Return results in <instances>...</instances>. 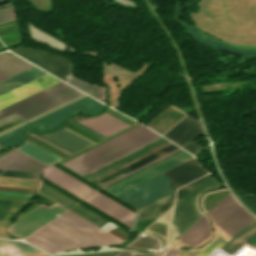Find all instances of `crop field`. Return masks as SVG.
I'll return each instance as SVG.
<instances>
[{"instance_id":"crop-field-1","label":"crop field","mask_w":256,"mask_h":256,"mask_svg":"<svg viewBox=\"0 0 256 256\" xmlns=\"http://www.w3.org/2000/svg\"><path fill=\"white\" fill-rule=\"evenodd\" d=\"M25 240L50 254L122 241L70 210Z\"/></svg>"},{"instance_id":"crop-field-2","label":"crop field","mask_w":256,"mask_h":256,"mask_svg":"<svg viewBox=\"0 0 256 256\" xmlns=\"http://www.w3.org/2000/svg\"><path fill=\"white\" fill-rule=\"evenodd\" d=\"M158 136L160 135L140 125L63 164L82 175Z\"/></svg>"},{"instance_id":"crop-field-3","label":"crop field","mask_w":256,"mask_h":256,"mask_svg":"<svg viewBox=\"0 0 256 256\" xmlns=\"http://www.w3.org/2000/svg\"><path fill=\"white\" fill-rule=\"evenodd\" d=\"M106 105L98 102L97 100L87 96L77 102H74L62 109H59L49 115H46L36 121H33L23 127H20L8 134L0 137V147L6 148L21 144V134L29 127L44 132L56 128L59 123L68 115L73 113H84L88 115L101 112Z\"/></svg>"},{"instance_id":"crop-field-4","label":"crop field","mask_w":256,"mask_h":256,"mask_svg":"<svg viewBox=\"0 0 256 256\" xmlns=\"http://www.w3.org/2000/svg\"><path fill=\"white\" fill-rule=\"evenodd\" d=\"M51 87V86H50ZM83 94L61 82L0 111V119L17 111L26 119Z\"/></svg>"},{"instance_id":"crop-field-5","label":"crop field","mask_w":256,"mask_h":256,"mask_svg":"<svg viewBox=\"0 0 256 256\" xmlns=\"http://www.w3.org/2000/svg\"><path fill=\"white\" fill-rule=\"evenodd\" d=\"M222 184L216 182L210 175L205 178L199 185H197L192 191L184 196L180 201L176 203L175 212L172 223L178 228L179 233H183L191 225H193L201 215L195 204V200L203 191L221 186Z\"/></svg>"},{"instance_id":"crop-field-6","label":"crop field","mask_w":256,"mask_h":256,"mask_svg":"<svg viewBox=\"0 0 256 256\" xmlns=\"http://www.w3.org/2000/svg\"><path fill=\"white\" fill-rule=\"evenodd\" d=\"M10 51L62 79L71 72L72 64L68 60L50 54L47 51L24 47L13 48Z\"/></svg>"},{"instance_id":"crop-field-7","label":"crop field","mask_w":256,"mask_h":256,"mask_svg":"<svg viewBox=\"0 0 256 256\" xmlns=\"http://www.w3.org/2000/svg\"><path fill=\"white\" fill-rule=\"evenodd\" d=\"M66 210L59 204L53 208L40 206L10 226L9 231L24 239Z\"/></svg>"},{"instance_id":"crop-field-8","label":"crop field","mask_w":256,"mask_h":256,"mask_svg":"<svg viewBox=\"0 0 256 256\" xmlns=\"http://www.w3.org/2000/svg\"><path fill=\"white\" fill-rule=\"evenodd\" d=\"M168 192H170L168 180L158 175L118 196L140 207Z\"/></svg>"},{"instance_id":"crop-field-9","label":"crop field","mask_w":256,"mask_h":256,"mask_svg":"<svg viewBox=\"0 0 256 256\" xmlns=\"http://www.w3.org/2000/svg\"><path fill=\"white\" fill-rule=\"evenodd\" d=\"M202 133L203 131L199 121L187 115L163 136L197 156L204 148L192 141Z\"/></svg>"},{"instance_id":"crop-field-10","label":"crop field","mask_w":256,"mask_h":256,"mask_svg":"<svg viewBox=\"0 0 256 256\" xmlns=\"http://www.w3.org/2000/svg\"><path fill=\"white\" fill-rule=\"evenodd\" d=\"M192 158V155L188 154L187 152H182L148 170H146L145 172L109 189L108 191L118 195L188 159Z\"/></svg>"},{"instance_id":"crop-field-11","label":"crop field","mask_w":256,"mask_h":256,"mask_svg":"<svg viewBox=\"0 0 256 256\" xmlns=\"http://www.w3.org/2000/svg\"><path fill=\"white\" fill-rule=\"evenodd\" d=\"M59 82H61V80L47 74L11 92H8L0 96V110Z\"/></svg>"},{"instance_id":"crop-field-12","label":"crop field","mask_w":256,"mask_h":256,"mask_svg":"<svg viewBox=\"0 0 256 256\" xmlns=\"http://www.w3.org/2000/svg\"><path fill=\"white\" fill-rule=\"evenodd\" d=\"M206 173L207 171L192 158L162 174L170 179L172 190H174Z\"/></svg>"},{"instance_id":"crop-field-13","label":"crop field","mask_w":256,"mask_h":256,"mask_svg":"<svg viewBox=\"0 0 256 256\" xmlns=\"http://www.w3.org/2000/svg\"><path fill=\"white\" fill-rule=\"evenodd\" d=\"M43 177L82 199L95 191L52 166L44 169Z\"/></svg>"},{"instance_id":"crop-field-14","label":"crop field","mask_w":256,"mask_h":256,"mask_svg":"<svg viewBox=\"0 0 256 256\" xmlns=\"http://www.w3.org/2000/svg\"><path fill=\"white\" fill-rule=\"evenodd\" d=\"M84 200L88 201L89 203L93 204L104 212L110 214L111 216L115 217L126 225L131 226L135 214L124 209L123 207L102 196L101 194L96 192Z\"/></svg>"},{"instance_id":"crop-field-15","label":"crop field","mask_w":256,"mask_h":256,"mask_svg":"<svg viewBox=\"0 0 256 256\" xmlns=\"http://www.w3.org/2000/svg\"><path fill=\"white\" fill-rule=\"evenodd\" d=\"M80 123L108 136L127 126L128 124L104 113L100 116L79 121Z\"/></svg>"},{"instance_id":"crop-field-16","label":"crop field","mask_w":256,"mask_h":256,"mask_svg":"<svg viewBox=\"0 0 256 256\" xmlns=\"http://www.w3.org/2000/svg\"><path fill=\"white\" fill-rule=\"evenodd\" d=\"M174 195H175V192L139 209L136 213V216L134 218L133 225L130 231L134 230L137 222L140 221L141 219H146V218L157 219L159 216H161L165 211H167L173 205Z\"/></svg>"},{"instance_id":"crop-field-17","label":"crop field","mask_w":256,"mask_h":256,"mask_svg":"<svg viewBox=\"0 0 256 256\" xmlns=\"http://www.w3.org/2000/svg\"><path fill=\"white\" fill-rule=\"evenodd\" d=\"M27 203L24 201L0 199V238H17L8 232L7 226L15 214Z\"/></svg>"},{"instance_id":"crop-field-18","label":"crop field","mask_w":256,"mask_h":256,"mask_svg":"<svg viewBox=\"0 0 256 256\" xmlns=\"http://www.w3.org/2000/svg\"><path fill=\"white\" fill-rule=\"evenodd\" d=\"M42 137L74 153L92 144L64 129H61L52 134L42 135Z\"/></svg>"},{"instance_id":"crop-field-19","label":"crop field","mask_w":256,"mask_h":256,"mask_svg":"<svg viewBox=\"0 0 256 256\" xmlns=\"http://www.w3.org/2000/svg\"><path fill=\"white\" fill-rule=\"evenodd\" d=\"M211 235L206 217L199 219L193 226L180 235L181 242L186 245L196 246L201 244Z\"/></svg>"},{"instance_id":"crop-field-20","label":"crop field","mask_w":256,"mask_h":256,"mask_svg":"<svg viewBox=\"0 0 256 256\" xmlns=\"http://www.w3.org/2000/svg\"><path fill=\"white\" fill-rule=\"evenodd\" d=\"M126 247L138 249V250H144V251H156L155 253L151 254H133L128 253L123 250H121L118 254L115 256H155L157 255L161 250L164 248L160 246V240L149 235H143L140 234L137 238L133 239L130 243L126 245Z\"/></svg>"},{"instance_id":"crop-field-21","label":"crop field","mask_w":256,"mask_h":256,"mask_svg":"<svg viewBox=\"0 0 256 256\" xmlns=\"http://www.w3.org/2000/svg\"><path fill=\"white\" fill-rule=\"evenodd\" d=\"M253 218L240 206L218 226L229 237H233Z\"/></svg>"},{"instance_id":"crop-field-22","label":"crop field","mask_w":256,"mask_h":256,"mask_svg":"<svg viewBox=\"0 0 256 256\" xmlns=\"http://www.w3.org/2000/svg\"><path fill=\"white\" fill-rule=\"evenodd\" d=\"M176 148H178V147L171 144V145H169V146H167V147H165V148H163V149H161V150H159V151H157V152H155V153H153V154H151V155H149V156H147V157H145V158H143V159H141V160H139V161H137V162H135V163H133V164H131V165H129V166H127V167H125V168H123V169H121V170H119V171L101 179V180H99V181H97L96 183L99 184L100 186H102V185H104V184H106V183H108V182H110V181H112V180H114V179H116V178H118V177H120V176H122V175H124V174H126V173H128V172H130V171H132V170H134V169H136V168H138V167H140V166H142V165H144V164H146V163H148V162H150V161H152V160H154V159H156V158H158V157H160V156H162V155H164V154H166V153H168L172 150H174V149H176Z\"/></svg>"},{"instance_id":"crop-field-23","label":"crop field","mask_w":256,"mask_h":256,"mask_svg":"<svg viewBox=\"0 0 256 256\" xmlns=\"http://www.w3.org/2000/svg\"><path fill=\"white\" fill-rule=\"evenodd\" d=\"M31 66L33 65L10 52L0 53V70L9 77Z\"/></svg>"},{"instance_id":"crop-field-24","label":"crop field","mask_w":256,"mask_h":256,"mask_svg":"<svg viewBox=\"0 0 256 256\" xmlns=\"http://www.w3.org/2000/svg\"><path fill=\"white\" fill-rule=\"evenodd\" d=\"M45 74L47 73L39 70L37 67H34L24 73H21L11 79H8L0 83V95L8 91H11L21 85H24L34 79H37Z\"/></svg>"},{"instance_id":"crop-field-25","label":"crop field","mask_w":256,"mask_h":256,"mask_svg":"<svg viewBox=\"0 0 256 256\" xmlns=\"http://www.w3.org/2000/svg\"><path fill=\"white\" fill-rule=\"evenodd\" d=\"M240 205L235 198L229 193L218 204H216L207 213L212 217L216 226L230 215Z\"/></svg>"},{"instance_id":"crop-field-26","label":"crop field","mask_w":256,"mask_h":256,"mask_svg":"<svg viewBox=\"0 0 256 256\" xmlns=\"http://www.w3.org/2000/svg\"><path fill=\"white\" fill-rule=\"evenodd\" d=\"M40 251L26 243L0 240V256H25Z\"/></svg>"},{"instance_id":"crop-field-27","label":"crop field","mask_w":256,"mask_h":256,"mask_svg":"<svg viewBox=\"0 0 256 256\" xmlns=\"http://www.w3.org/2000/svg\"><path fill=\"white\" fill-rule=\"evenodd\" d=\"M255 233H256V220L253 219L230 241H228L224 246H222L221 249L232 254L241 245H243L248 239H250Z\"/></svg>"},{"instance_id":"crop-field-28","label":"crop field","mask_w":256,"mask_h":256,"mask_svg":"<svg viewBox=\"0 0 256 256\" xmlns=\"http://www.w3.org/2000/svg\"><path fill=\"white\" fill-rule=\"evenodd\" d=\"M17 148L48 165L62 159L27 140H25L23 145Z\"/></svg>"},{"instance_id":"crop-field-29","label":"crop field","mask_w":256,"mask_h":256,"mask_svg":"<svg viewBox=\"0 0 256 256\" xmlns=\"http://www.w3.org/2000/svg\"><path fill=\"white\" fill-rule=\"evenodd\" d=\"M71 85L85 91L86 93L94 96L95 98L104 101V95L106 88L99 85H94L82 80L77 79L76 77L71 78L69 81H67Z\"/></svg>"},{"instance_id":"crop-field-30","label":"crop field","mask_w":256,"mask_h":256,"mask_svg":"<svg viewBox=\"0 0 256 256\" xmlns=\"http://www.w3.org/2000/svg\"><path fill=\"white\" fill-rule=\"evenodd\" d=\"M167 142H169V141L163 139V140H161V141H159V142H157V143H155V144H153V145H151V146H149V147H147V148H145V149H143V150H141V151H139V152H137V153H135V154H133V155H131V156H129V157H127V158H125V159H123V160H121V161H119V162H117V163H115V164H113V165H111V166H109V167L91 175V176H89V177H87V178L93 180V179H95V178H97V177H99V176H101V175H103V174H105V173H107V172H109V171H111V170H113V169H115V168H117V167H119V166H121V165H123V164H125V163H127V162H129V161H131V160H133V159H135V158H137V157H139V156H141V155H143V154H145V153H147V152H149V151H151V150H153V149H155V148H157V147H159L163 144H165V143H167Z\"/></svg>"},{"instance_id":"crop-field-31","label":"crop field","mask_w":256,"mask_h":256,"mask_svg":"<svg viewBox=\"0 0 256 256\" xmlns=\"http://www.w3.org/2000/svg\"><path fill=\"white\" fill-rule=\"evenodd\" d=\"M45 167L47 166L26 155L7 169L42 173V168Z\"/></svg>"},{"instance_id":"crop-field-32","label":"crop field","mask_w":256,"mask_h":256,"mask_svg":"<svg viewBox=\"0 0 256 256\" xmlns=\"http://www.w3.org/2000/svg\"><path fill=\"white\" fill-rule=\"evenodd\" d=\"M39 192L43 193L44 195L48 196L49 198L53 199L68 209L77 204L46 185H43Z\"/></svg>"},{"instance_id":"crop-field-33","label":"crop field","mask_w":256,"mask_h":256,"mask_svg":"<svg viewBox=\"0 0 256 256\" xmlns=\"http://www.w3.org/2000/svg\"><path fill=\"white\" fill-rule=\"evenodd\" d=\"M226 242L222 238L221 235L213 241L211 244H209L207 247L204 248V250L200 251H181L179 256H207L213 249L220 248L222 245H224Z\"/></svg>"},{"instance_id":"crop-field-34","label":"crop field","mask_w":256,"mask_h":256,"mask_svg":"<svg viewBox=\"0 0 256 256\" xmlns=\"http://www.w3.org/2000/svg\"><path fill=\"white\" fill-rule=\"evenodd\" d=\"M70 210L74 211L75 213L79 214L80 216L84 217L85 219L89 220L90 222L94 223L99 227L107 222L78 204Z\"/></svg>"},{"instance_id":"crop-field-35","label":"crop field","mask_w":256,"mask_h":256,"mask_svg":"<svg viewBox=\"0 0 256 256\" xmlns=\"http://www.w3.org/2000/svg\"><path fill=\"white\" fill-rule=\"evenodd\" d=\"M23 155H25V154L14 149V150L8 152L7 154L1 156L0 157V169L6 168L7 166H9L13 162H15L17 159L22 157Z\"/></svg>"},{"instance_id":"crop-field-36","label":"crop field","mask_w":256,"mask_h":256,"mask_svg":"<svg viewBox=\"0 0 256 256\" xmlns=\"http://www.w3.org/2000/svg\"><path fill=\"white\" fill-rule=\"evenodd\" d=\"M1 176L42 180V174L5 170Z\"/></svg>"},{"instance_id":"crop-field-37","label":"crop field","mask_w":256,"mask_h":256,"mask_svg":"<svg viewBox=\"0 0 256 256\" xmlns=\"http://www.w3.org/2000/svg\"><path fill=\"white\" fill-rule=\"evenodd\" d=\"M179 150H181V149L178 148V149H176V150H174V151H172V152H170V153H168V154H166V155H164V156H162V157H160V158H158V159H156V160H154V161H152V162H150V163H148V164H146V165H144V166H142V167H140V168H138V169H136V170H134V171H132V172H130V173H128V174H126V175H124V176L106 184V185H104V186H102V187L105 188V187H107V186H109V185H111V184H113V183H115V182H117V181H119V180H121V179H123V178H125V177H127V176H129V175H131V174H133V173H135V172H137V171H139V170H141V169H143V168H145V167H147V166H149V165H151V164H153V163H155V162H157V161H159V160H161V159H163V158H165V157H167V156H169V155H171L175 152H177V151H179Z\"/></svg>"},{"instance_id":"crop-field-38","label":"crop field","mask_w":256,"mask_h":256,"mask_svg":"<svg viewBox=\"0 0 256 256\" xmlns=\"http://www.w3.org/2000/svg\"><path fill=\"white\" fill-rule=\"evenodd\" d=\"M207 176V175H206ZM206 176L182 187L179 189L178 191V195H177V201L180 200L184 195H186L190 190H192L200 181H202ZM176 201V202H177Z\"/></svg>"},{"instance_id":"crop-field-39","label":"crop field","mask_w":256,"mask_h":256,"mask_svg":"<svg viewBox=\"0 0 256 256\" xmlns=\"http://www.w3.org/2000/svg\"><path fill=\"white\" fill-rule=\"evenodd\" d=\"M118 251L113 252H99V253H86V254H73V255H59V256H113Z\"/></svg>"},{"instance_id":"crop-field-40","label":"crop field","mask_w":256,"mask_h":256,"mask_svg":"<svg viewBox=\"0 0 256 256\" xmlns=\"http://www.w3.org/2000/svg\"><path fill=\"white\" fill-rule=\"evenodd\" d=\"M67 121H69V122H71V123H73V124L83 128V129H85L86 131H88V132H90V133H92V134H94V135H96V136H98V137H100L102 139H104L106 137V136H104V135H102V134H100V133H98V132H96V131H94V130H92V129H90V128H88V127H86V126H84V125L74 121V120H72V119H70V118Z\"/></svg>"},{"instance_id":"crop-field-41","label":"crop field","mask_w":256,"mask_h":256,"mask_svg":"<svg viewBox=\"0 0 256 256\" xmlns=\"http://www.w3.org/2000/svg\"><path fill=\"white\" fill-rule=\"evenodd\" d=\"M0 194L12 195V196H21V197H29V198H33L34 197V195H30V194H19V193H9V192H0Z\"/></svg>"},{"instance_id":"crop-field-42","label":"crop field","mask_w":256,"mask_h":256,"mask_svg":"<svg viewBox=\"0 0 256 256\" xmlns=\"http://www.w3.org/2000/svg\"><path fill=\"white\" fill-rule=\"evenodd\" d=\"M136 124H138V123H136ZM136 124H134V125H136ZM134 125H132V126H134ZM132 126H130V127H132ZM130 127H128V128H130ZM128 128H126V129H128ZM126 129H124V130H126ZM124 130H122V131H124ZM122 131H120V132H122ZM120 132H118V133H120ZM118 133H116V134H118ZM116 134H114V135H116ZM114 135H112V136H114ZM112 136H110V137H112ZM110 137H108V138H110ZM108 138H106V139H108ZM106 139H104V140H106ZM104 140H102V141H104ZM102 141H100V142H102ZM100 142H98V143H100ZM98 143H96V144H98ZM96 144H94V145H96ZM94 145H92V146H94ZM92 146H90V147H92ZM90 147H88V148H90ZM88 148H86V149H88ZM86 149H84V150H86ZM84 150H82V151H84ZM82 151H80V152H82ZM80 152H78V153H80ZM78 153H76V154H78ZM76 154H74V155H76ZM74 155H72V156H74ZM72 156H70V157H72ZM70 157H68V158H70ZM68 158H66V159H68ZM66 159H64V160H66ZM64 160H62V161H64ZM62 161H60V162H62Z\"/></svg>"},{"instance_id":"crop-field-43","label":"crop field","mask_w":256,"mask_h":256,"mask_svg":"<svg viewBox=\"0 0 256 256\" xmlns=\"http://www.w3.org/2000/svg\"><path fill=\"white\" fill-rule=\"evenodd\" d=\"M179 250L169 249L168 253L165 256H176Z\"/></svg>"},{"instance_id":"crop-field-44","label":"crop field","mask_w":256,"mask_h":256,"mask_svg":"<svg viewBox=\"0 0 256 256\" xmlns=\"http://www.w3.org/2000/svg\"><path fill=\"white\" fill-rule=\"evenodd\" d=\"M256 242V235H254L247 243L253 245Z\"/></svg>"},{"instance_id":"crop-field-45","label":"crop field","mask_w":256,"mask_h":256,"mask_svg":"<svg viewBox=\"0 0 256 256\" xmlns=\"http://www.w3.org/2000/svg\"><path fill=\"white\" fill-rule=\"evenodd\" d=\"M6 78H8V77L0 71V81L4 80Z\"/></svg>"},{"instance_id":"crop-field-46","label":"crop field","mask_w":256,"mask_h":256,"mask_svg":"<svg viewBox=\"0 0 256 256\" xmlns=\"http://www.w3.org/2000/svg\"><path fill=\"white\" fill-rule=\"evenodd\" d=\"M253 246H255V247H256V243H255Z\"/></svg>"}]
</instances>
